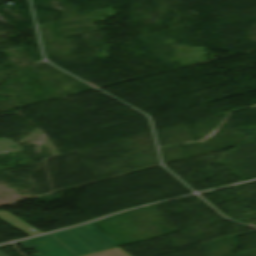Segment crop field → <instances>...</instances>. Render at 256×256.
<instances>
[{"instance_id":"obj_1","label":"crop field","mask_w":256,"mask_h":256,"mask_svg":"<svg viewBox=\"0 0 256 256\" xmlns=\"http://www.w3.org/2000/svg\"><path fill=\"white\" fill-rule=\"evenodd\" d=\"M26 249H34L35 256H82L118 247L92 224L20 241Z\"/></svg>"},{"instance_id":"obj_2","label":"crop field","mask_w":256,"mask_h":256,"mask_svg":"<svg viewBox=\"0 0 256 256\" xmlns=\"http://www.w3.org/2000/svg\"><path fill=\"white\" fill-rule=\"evenodd\" d=\"M0 218L30 236L41 234V232H39L36 229L32 228L31 226L25 224L24 222L20 221L19 219H17L16 217L12 216L11 214H9L7 212H0Z\"/></svg>"},{"instance_id":"obj_3","label":"crop field","mask_w":256,"mask_h":256,"mask_svg":"<svg viewBox=\"0 0 256 256\" xmlns=\"http://www.w3.org/2000/svg\"><path fill=\"white\" fill-rule=\"evenodd\" d=\"M86 256H130L128 253H126L123 249L120 247L86 255Z\"/></svg>"},{"instance_id":"obj_4","label":"crop field","mask_w":256,"mask_h":256,"mask_svg":"<svg viewBox=\"0 0 256 256\" xmlns=\"http://www.w3.org/2000/svg\"><path fill=\"white\" fill-rule=\"evenodd\" d=\"M0 256H5V255H3V254L0 252Z\"/></svg>"}]
</instances>
